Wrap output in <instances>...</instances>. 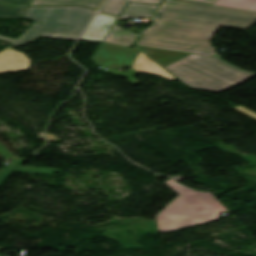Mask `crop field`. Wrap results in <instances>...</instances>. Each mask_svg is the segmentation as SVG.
Returning a JSON list of instances; mask_svg holds the SVG:
<instances>
[{
  "mask_svg": "<svg viewBox=\"0 0 256 256\" xmlns=\"http://www.w3.org/2000/svg\"><path fill=\"white\" fill-rule=\"evenodd\" d=\"M164 184L179 196L156 215L159 232L215 221L221 212H227L210 193L188 188L173 180Z\"/></svg>",
  "mask_w": 256,
  "mask_h": 256,
  "instance_id": "2",
  "label": "crop field"
},
{
  "mask_svg": "<svg viewBox=\"0 0 256 256\" xmlns=\"http://www.w3.org/2000/svg\"><path fill=\"white\" fill-rule=\"evenodd\" d=\"M31 0H0V3L8 4L11 6L29 5Z\"/></svg>",
  "mask_w": 256,
  "mask_h": 256,
  "instance_id": "16",
  "label": "crop field"
},
{
  "mask_svg": "<svg viewBox=\"0 0 256 256\" xmlns=\"http://www.w3.org/2000/svg\"><path fill=\"white\" fill-rule=\"evenodd\" d=\"M113 69H107V71L103 70L104 73H109L115 76H123L125 73L124 72H112ZM138 72H136L134 69L129 68L127 70V74L125 75V77L132 82L133 84H137L139 83L132 75L136 74Z\"/></svg>",
  "mask_w": 256,
  "mask_h": 256,
  "instance_id": "15",
  "label": "crop field"
},
{
  "mask_svg": "<svg viewBox=\"0 0 256 256\" xmlns=\"http://www.w3.org/2000/svg\"><path fill=\"white\" fill-rule=\"evenodd\" d=\"M235 108L240 110V111H242V112H244V113H246V114H248V115H250V116H252V117H254V118H256V114L255 113H253V112H251V111H249V110H247V109H245V108H243L241 106L235 107Z\"/></svg>",
  "mask_w": 256,
  "mask_h": 256,
  "instance_id": "17",
  "label": "crop field"
},
{
  "mask_svg": "<svg viewBox=\"0 0 256 256\" xmlns=\"http://www.w3.org/2000/svg\"><path fill=\"white\" fill-rule=\"evenodd\" d=\"M94 14L84 7H28L23 17L36 22L18 39H0L15 47L40 36L77 40Z\"/></svg>",
  "mask_w": 256,
  "mask_h": 256,
  "instance_id": "3",
  "label": "crop field"
},
{
  "mask_svg": "<svg viewBox=\"0 0 256 256\" xmlns=\"http://www.w3.org/2000/svg\"><path fill=\"white\" fill-rule=\"evenodd\" d=\"M164 68L192 89L216 93L256 75L238 70L216 57L196 54Z\"/></svg>",
  "mask_w": 256,
  "mask_h": 256,
  "instance_id": "4",
  "label": "crop field"
},
{
  "mask_svg": "<svg viewBox=\"0 0 256 256\" xmlns=\"http://www.w3.org/2000/svg\"><path fill=\"white\" fill-rule=\"evenodd\" d=\"M213 5L256 11V0H216Z\"/></svg>",
  "mask_w": 256,
  "mask_h": 256,
  "instance_id": "13",
  "label": "crop field"
},
{
  "mask_svg": "<svg viewBox=\"0 0 256 256\" xmlns=\"http://www.w3.org/2000/svg\"><path fill=\"white\" fill-rule=\"evenodd\" d=\"M140 51L102 42L92 56L96 65L108 68L132 67Z\"/></svg>",
  "mask_w": 256,
  "mask_h": 256,
  "instance_id": "6",
  "label": "crop field"
},
{
  "mask_svg": "<svg viewBox=\"0 0 256 256\" xmlns=\"http://www.w3.org/2000/svg\"><path fill=\"white\" fill-rule=\"evenodd\" d=\"M103 0H33L31 5H83L98 9Z\"/></svg>",
  "mask_w": 256,
  "mask_h": 256,
  "instance_id": "12",
  "label": "crop field"
},
{
  "mask_svg": "<svg viewBox=\"0 0 256 256\" xmlns=\"http://www.w3.org/2000/svg\"><path fill=\"white\" fill-rule=\"evenodd\" d=\"M132 68L141 73L153 74L169 80L175 79L141 52Z\"/></svg>",
  "mask_w": 256,
  "mask_h": 256,
  "instance_id": "10",
  "label": "crop field"
},
{
  "mask_svg": "<svg viewBox=\"0 0 256 256\" xmlns=\"http://www.w3.org/2000/svg\"><path fill=\"white\" fill-rule=\"evenodd\" d=\"M137 47L144 51L148 56H150L162 67L189 55V53L183 52L169 51L150 47Z\"/></svg>",
  "mask_w": 256,
  "mask_h": 256,
  "instance_id": "8",
  "label": "crop field"
},
{
  "mask_svg": "<svg viewBox=\"0 0 256 256\" xmlns=\"http://www.w3.org/2000/svg\"><path fill=\"white\" fill-rule=\"evenodd\" d=\"M128 1L160 4L162 0H106L100 11L119 16ZM201 3L213 4L215 0H187Z\"/></svg>",
  "mask_w": 256,
  "mask_h": 256,
  "instance_id": "9",
  "label": "crop field"
},
{
  "mask_svg": "<svg viewBox=\"0 0 256 256\" xmlns=\"http://www.w3.org/2000/svg\"><path fill=\"white\" fill-rule=\"evenodd\" d=\"M157 7L158 6H155V5L129 3V5L121 15V18H127V17H133V16L152 18V16L158 9Z\"/></svg>",
  "mask_w": 256,
  "mask_h": 256,
  "instance_id": "11",
  "label": "crop field"
},
{
  "mask_svg": "<svg viewBox=\"0 0 256 256\" xmlns=\"http://www.w3.org/2000/svg\"><path fill=\"white\" fill-rule=\"evenodd\" d=\"M116 18L97 14L93 22L83 34L81 40L108 42L129 47L135 41L136 33L125 30L115 24Z\"/></svg>",
  "mask_w": 256,
  "mask_h": 256,
  "instance_id": "5",
  "label": "crop field"
},
{
  "mask_svg": "<svg viewBox=\"0 0 256 256\" xmlns=\"http://www.w3.org/2000/svg\"><path fill=\"white\" fill-rule=\"evenodd\" d=\"M27 7L14 8L0 5V18H20Z\"/></svg>",
  "mask_w": 256,
  "mask_h": 256,
  "instance_id": "14",
  "label": "crop field"
},
{
  "mask_svg": "<svg viewBox=\"0 0 256 256\" xmlns=\"http://www.w3.org/2000/svg\"><path fill=\"white\" fill-rule=\"evenodd\" d=\"M12 46L0 52V74L28 70L30 60L20 52L11 49Z\"/></svg>",
  "mask_w": 256,
  "mask_h": 256,
  "instance_id": "7",
  "label": "crop field"
},
{
  "mask_svg": "<svg viewBox=\"0 0 256 256\" xmlns=\"http://www.w3.org/2000/svg\"><path fill=\"white\" fill-rule=\"evenodd\" d=\"M136 45L214 56L209 43L218 27L246 30L256 12L164 0Z\"/></svg>",
  "mask_w": 256,
  "mask_h": 256,
  "instance_id": "1",
  "label": "crop field"
}]
</instances>
